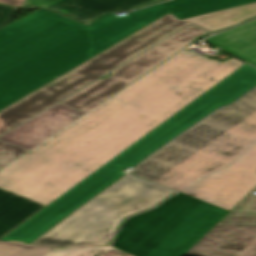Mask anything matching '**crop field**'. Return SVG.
<instances>
[{"mask_svg": "<svg viewBox=\"0 0 256 256\" xmlns=\"http://www.w3.org/2000/svg\"><path fill=\"white\" fill-rule=\"evenodd\" d=\"M186 254L256 256V196L243 200Z\"/></svg>", "mask_w": 256, "mask_h": 256, "instance_id": "obj_10", "label": "crop field"}, {"mask_svg": "<svg viewBox=\"0 0 256 256\" xmlns=\"http://www.w3.org/2000/svg\"><path fill=\"white\" fill-rule=\"evenodd\" d=\"M254 2L256 0H171L126 13L127 16L104 15L89 26L93 42L90 58L170 12L178 20H184Z\"/></svg>", "mask_w": 256, "mask_h": 256, "instance_id": "obj_8", "label": "crop field"}, {"mask_svg": "<svg viewBox=\"0 0 256 256\" xmlns=\"http://www.w3.org/2000/svg\"><path fill=\"white\" fill-rule=\"evenodd\" d=\"M205 41L256 66V20L212 36Z\"/></svg>", "mask_w": 256, "mask_h": 256, "instance_id": "obj_13", "label": "crop field"}, {"mask_svg": "<svg viewBox=\"0 0 256 256\" xmlns=\"http://www.w3.org/2000/svg\"><path fill=\"white\" fill-rule=\"evenodd\" d=\"M227 213L180 193L123 222L112 246L133 256H183Z\"/></svg>", "mask_w": 256, "mask_h": 256, "instance_id": "obj_7", "label": "crop field"}, {"mask_svg": "<svg viewBox=\"0 0 256 256\" xmlns=\"http://www.w3.org/2000/svg\"><path fill=\"white\" fill-rule=\"evenodd\" d=\"M50 248L26 246L0 241V256H42Z\"/></svg>", "mask_w": 256, "mask_h": 256, "instance_id": "obj_14", "label": "crop field"}, {"mask_svg": "<svg viewBox=\"0 0 256 256\" xmlns=\"http://www.w3.org/2000/svg\"><path fill=\"white\" fill-rule=\"evenodd\" d=\"M204 34L198 27L188 26L112 72L111 77L91 84L60 104L81 111L95 101L101 102Z\"/></svg>", "mask_w": 256, "mask_h": 256, "instance_id": "obj_9", "label": "crop field"}, {"mask_svg": "<svg viewBox=\"0 0 256 256\" xmlns=\"http://www.w3.org/2000/svg\"><path fill=\"white\" fill-rule=\"evenodd\" d=\"M98 103H93L81 112L58 104L3 135L0 141L32 150Z\"/></svg>", "mask_w": 256, "mask_h": 256, "instance_id": "obj_11", "label": "crop field"}, {"mask_svg": "<svg viewBox=\"0 0 256 256\" xmlns=\"http://www.w3.org/2000/svg\"><path fill=\"white\" fill-rule=\"evenodd\" d=\"M25 0H0V3L19 7ZM24 4V3H23Z\"/></svg>", "mask_w": 256, "mask_h": 256, "instance_id": "obj_17", "label": "crop field"}, {"mask_svg": "<svg viewBox=\"0 0 256 256\" xmlns=\"http://www.w3.org/2000/svg\"><path fill=\"white\" fill-rule=\"evenodd\" d=\"M255 16L256 3L184 21H178L170 13L0 111V135L188 23L212 32Z\"/></svg>", "mask_w": 256, "mask_h": 256, "instance_id": "obj_5", "label": "crop field"}, {"mask_svg": "<svg viewBox=\"0 0 256 256\" xmlns=\"http://www.w3.org/2000/svg\"><path fill=\"white\" fill-rule=\"evenodd\" d=\"M89 28L42 9L0 29V110L88 60Z\"/></svg>", "mask_w": 256, "mask_h": 256, "instance_id": "obj_3", "label": "crop field"}, {"mask_svg": "<svg viewBox=\"0 0 256 256\" xmlns=\"http://www.w3.org/2000/svg\"><path fill=\"white\" fill-rule=\"evenodd\" d=\"M153 0H26L21 9L44 7L86 24L105 12L130 10Z\"/></svg>", "mask_w": 256, "mask_h": 256, "instance_id": "obj_12", "label": "crop field"}, {"mask_svg": "<svg viewBox=\"0 0 256 256\" xmlns=\"http://www.w3.org/2000/svg\"><path fill=\"white\" fill-rule=\"evenodd\" d=\"M160 2V1H159ZM152 4H154V3H150V4H146V5H144V6H148V5H152ZM144 6H142V7H144ZM137 8H141V7H137ZM136 8V9H137Z\"/></svg>", "mask_w": 256, "mask_h": 256, "instance_id": "obj_18", "label": "crop field"}, {"mask_svg": "<svg viewBox=\"0 0 256 256\" xmlns=\"http://www.w3.org/2000/svg\"><path fill=\"white\" fill-rule=\"evenodd\" d=\"M172 193L126 176L33 244L54 247L44 256H131L108 246L120 221Z\"/></svg>", "mask_w": 256, "mask_h": 256, "instance_id": "obj_6", "label": "crop field"}, {"mask_svg": "<svg viewBox=\"0 0 256 256\" xmlns=\"http://www.w3.org/2000/svg\"><path fill=\"white\" fill-rule=\"evenodd\" d=\"M254 86L256 69L244 64L1 240L28 245L74 209L124 176L122 170L133 167L180 132L216 108L232 103Z\"/></svg>", "mask_w": 256, "mask_h": 256, "instance_id": "obj_4", "label": "crop field"}, {"mask_svg": "<svg viewBox=\"0 0 256 256\" xmlns=\"http://www.w3.org/2000/svg\"><path fill=\"white\" fill-rule=\"evenodd\" d=\"M17 10V8L0 5V28L8 24Z\"/></svg>", "mask_w": 256, "mask_h": 256, "instance_id": "obj_16", "label": "crop field"}, {"mask_svg": "<svg viewBox=\"0 0 256 256\" xmlns=\"http://www.w3.org/2000/svg\"><path fill=\"white\" fill-rule=\"evenodd\" d=\"M27 151L28 150L0 142V169Z\"/></svg>", "mask_w": 256, "mask_h": 256, "instance_id": "obj_15", "label": "crop field"}, {"mask_svg": "<svg viewBox=\"0 0 256 256\" xmlns=\"http://www.w3.org/2000/svg\"><path fill=\"white\" fill-rule=\"evenodd\" d=\"M130 174L230 211L256 187V88Z\"/></svg>", "mask_w": 256, "mask_h": 256, "instance_id": "obj_2", "label": "crop field"}, {"mask_svg": "<svg viewBox=\"0 0 256 256\" xmlns=\"http://www.w3.org/2000/svg\"><path fill=\"white\" fill-rule=\"evenodd\" d=\"M242 64L184 51L1 170L0 239Z\"/></svg>", "mask_w": 256, "mask_h": 256, "instance_id": "obj_1", "label": "crop field"}]
</instances>
